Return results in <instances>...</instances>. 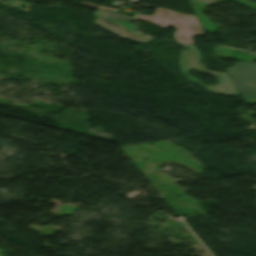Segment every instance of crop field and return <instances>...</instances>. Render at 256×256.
<instances>
[{
  "mask_svg": "<svg viewBox=\"0 0 256 256\" xmlns=\"http://www.w3.org/2000/svg\"><path fill=\"white\" fill-rule=\"evenodd\" d=\"M227 72L245 103L256 104V64L240 61Z\"/></svg>",
  "mask_w": 256,
  "mask_h": 256,
  "instance_id": "obj_4",
  "label": "crop field"
},
{
  "mask_svg": "<svg viewBox=\"0 0 256 256\" xmlns=\"http://www.w3.org/2000/svg\"><path fill=\"white\" fill-rule=\"evenodd\" d=\"M83 5H88V6H92V7H97V8H102V9H107V10H113V11H117L116 9H111V8H105V7H100V6H96V5H92V4H89V3H81Z\"/></svg>",
  "mask_w": 256,
  "mask_h": 256,
  "instance_id": "obj_5",
  "label": "crop field"
},
{
  "mask_svg": "<svg viewBox=\"0 0 256 256\" xmlns=\"http://www.w3.org/2000/svg\"><path fill=\"white\" fill-rule=\"evenodd\" d=\"M201 58L202 52L195 47L189 48L188 51H182L180 70L183 75L188 80L205 87L209 92L225 95H238L228 74L207 70L205 66L201 64ZM190 69H196L199 72H201V70L207 71V73L213 75L217 79L218 85H204L198 78L189 75L188 70Z\"/></svg>",
  "mask_w": 256,
  "mask_h": 256,
  "instance_id": "obj_2",
  "label": "crop field"
},
{
  "mask_svg": "<svg viewBox=\"0 0 256 256\" xmlns=\"http://www.w3.org/2000/svg\"><path fill=\"white\" fill-rule=\"evenodd\" d=\"M145 5L142 3H138ZM148 6V5H145ZM152 7V6H149ZM155 8V7H153ZM155 14L152 17L137 15L136 19H145L160 27L172 26L176 27V33L174 34L175 40L182 45H194L191 37L196 34L205 35L196 16L173 12L168 9L155 8Z\"/></svg>",
  "mask_w": 256,
  "mask_h": 256,
  "instance_id": "obj_1",
  "label": "crop field"
},
{
  "mask_svg": "<svg viewBox=\"0 0 256 256\" xmlns=\"http://www.w3.org/2000/svg\"><path fill=\"white\" fill-rule=\"evenodd\" d=\"M94 15H96L97 19L93 23L122 38H129L133 42L142 44H148L154 40V38L137 33L135 25L131 23L132 19L126 15L100 9Z\"/></svg>",
  "mask_w": 256,
  "mask_h": 256,
  "instance_id": "obj_3",
  "label": "crop field"
}]
</instances>
